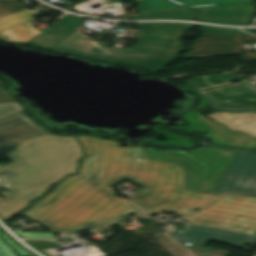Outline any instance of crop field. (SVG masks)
<instances>
[{
    "label": "crop field",
    "mask_w": 256,
    "mask_h": 256,
    "mask_svg": "<svg viewBox=\"0 0 256 256\" xmlns=\"http://www.w3.org/2000/svg\"><path fill=\"white\" fill-rule=\"evenodd\" d=\"M78 138L87 154L80 173L23 213L54 233L72 235L137 209L128 199L115 197L111 186L121 180L141 186L145 194L138 193L133 202L142 209L204 194L197 191L206 166L185 154L117 148L114 140Z\"/></svg>",
    "instance_id": "8a807250"
},
{
    "label": "crop field",
    "mask_w": 256,
    "mask_h": 256,
    "mask_svg": "<svg viewBox=\"0 0 256 256\" xmlns=\"http://www.w3.org/2000/svg\"><path fill=\"white\" fill-rule=\"evenodd\" d=\"M82 148L75 137L47 135L26 140L12 154L13 160L0 166V176L8 191L0 197V216L5 221L43 194L52 184L76 172ZM24 164H28L24 166Z\"/></svg>",
    "instance_id": "ac0d7876"
},
{
    "label": "crop field",
    "mask_w": 256,
    "mask_h": 256,
    "mask_svg": "<svg viewBox=\"0 0 256 256\" xmlns=\"http://www.w3.org/2000/svg\"><path fill=\"white\" fill-rule=\"evenodd\" d=\"M237 74H211L184 80L199 91L211 107L226 111H253V114H212L209 118L225 124L230 130H240L256 137V87L251 83H235L203 89L206 87L245 79Z\"/></svg>",
    "instance_id": "34b2d1b8"
},
{
    "label": "crop field",
    "mask_w": 256,
    "mask_h": 256,
    "mask_svg": "<svg viewBox=\"0 0 256 256\" xmlns=\"http://www.w3.org/2000/svg\"><path fill=\"white\" fill-rule=\"evenodd\" d=\"M207 207L181 220L255 235L256 198L224 195Z\"/></svg>",
    "instance_id": "412701ff"
},
{
    "label": "crop field",
    "mask_w": 256,
    "mask_h": 256,
    "mask_svg": "<svg viewBox=\"0 0 256 256\" xmlns=\"http://www.w3.org/2000/svg\"><path fill=\"white\" fill-rule=\"evenodd\" d=\"M180 52L137 44L133 49H106L105 44L99 43L87 57L105 61L135 64L147 68L152 73L160 71L172 58Z\"/></svg>",
    "instance_id": "f4fd0767"
},
{
    "label": "crop field",
    "mask_w": 256,
    "mask_h": 256,
    "mask_svg": "<svg viewBox=\"0 0 256 256\" xmlns=\"http://www.w3.org/2000/svg\"><path fill=\"white\" fill-rule=\"evenodd\" d=\"M217 192L256 196V154L240 150Z\"/></svg>",
    "instance_id": "dd49c442"
},
{
    "label": "crop field",
    "mask_w": 256,
    "mask_h": 256,
    "mask_svg": "<svg viewBox=\"0 0 256 256\" xmlns=\"http://www.w3.org/2000/svg\"><path fill=\"white\" fill-rule=\"evenodd\" d=\"M140 31L136 37L137 43L175 50L185 51L182 37L186 29L197 26L193 24L156 22L136 24Z\"/></svg>",
    "instance_id": "e52e79f7"
},
{
    "label": "crop field",
    "mask_w": 256,
    "mask_h": 256,
    "mask_svg": "<svg viewBox=\"0 0 256 256\" xmlns=\"http://www.w3.org/2000/svg\"><path fill=\"white\" fill-rule=\"evenodd\" d=\"M249 40H256V37L202 34L200 40L191 51L187 53L186 58L240 54L243 61L256 60V56L249 53V50L239 47L241 42H248ZM241 53H246L247 55H242Z\"/></svg>",
    "instance_id": "d8731c3e"
},
{
    "label": "crop field",
    "mask_w": 256,
    "mask_h": 256,
    "mask_svg": "<svg viewBox=\"0 0 256 256\" xmlns=\"http://www.w3.org/2000/svg\"><path fill=\"white\" fill-rule=\"evenodd\" d=\"M49 133L24 111L0 120V156L13 150L26 138Z\"/></svg>",
    "instance_id": "5a996713"
},
{
    "label": "crop field",
    "mask_w": 256,
    "mask_h": 256,
    "mask_svg": "<svg viewBox=\"0 0 256 256\" xmlns=\"http://www.w3.org/2000/svg\"><path fill=\"white\" fill-rule=\"evenodd\" d=\"M200 21L225 25H251L255 12V2L198 7Z\"/></svg>",
    "instance_id": "3316defc"
},
{
    "label": "crop field",
    "mask_w": 256,
    "mask_h": 256,
    "mask_svg": "<svg viewBox=\"0 0 256 256\" xmlns=\"http://www.w3.org/2000/svg\"><path fill=\"white\" fill-rule=\"evenodd\" d=\"M190 154L209 165L200 190L212 191L219 175L227 162L231 160L234 152L215 148H203Z\"/></svg>",
    "instance_id": "28ad6ade"
},
{
    "label": "crop field",
    "mask_w": 256,
    "mask_h": 256,
    "mask_svg": "<svg viewBox=\"0 0 256 256\" xmlns=\"http://www.w3.org/2000/svg\"><path fill=\"white\" fill-rule=\"evenodd\" d=\"M196 114L200 116L198 118L200 121L213 129L206 136L213 139L211 141L212 143L256 149V139L251 138L241 132H228L224 126L205 118L199 112Z\"/></svg>",
    "instance_id": "d1516ede"
},
{
    "label": "crop field",
    "mask_w": 256,
    "mask_h": 256,
    "mask_svg": "<svg viewBox=\"0 0 256 256\" xmlns=\"http://www.w3.org/2000/svg\"><path fill=\"white\" fill-rule=\"evenodd\" d=\"M218 196L219 195L217 194L206 193L203 196L193 201L145 209L144 211L147 212L149 215L168 212V213H175L177 216L182 217L186 214L194 212V209L202 208L203 206L207 205L209 202H211L213 199H215ZM170 206H172L173 208H169ZM175 207L177 208L176 210H174Z\"/></svg>",
    "instance_id": "22f410ed"
},
{
    "label": "crop field",
    "mask_w": 256,
    "mask_h": 256,
    "mask_svg": "<svg viewBox=\"0 0 256 256\" xmlns=\"http://www.w3.org/2000/svg\"><path fill=\"white\" fill-rule=\"evenodd\" d=\"M83 28H79L67 40H65L55 51L76 53L85 56L98 43L86 41V35L82 34Z\"/></svg>",
    "instance_id": "cbeb9de0"
},
{
    "label": "crop field",
    "mask_w": 256,
    "mask_h": 256,
    "mask_svg": "<svg viewBox=\"0 0 256 256\" xmlns=\"http://www.w3.org/2000/svg\"><path fill=\"white\" fill-rule=\"evenodd\" d=\"M196 14L197 12L194 9H184V10L141 13V14L124 16L122 17V19L134 18V20H148V19L195 20Z\"/></svg>",
    "instance_id": "5142ce71"
},
{
    "label": "crop field",
    "mask_w": 256,
    "mask_h": 256,
    "mask_svg": "<svg viewBox=\"0 0 256 256\" xmlns=\"http://www.w3.org/2000/svg\"><path fill=\"white\" fill-rule=\"evenodd\" d=\"M182 233L171 236L175 241H187L206 245L215 229L185 225Z\"/></svg>",
    "instance_id": "d9b57169"
},
{
    "label": "crop field",
    "mask_w": 256,
    "mask_h": 256,
    "mask_svg": "<svg viewBox=\"0 0 256 256\" xmlns=\"http://www.w3.org/2000/svg\"><path fill=\"white\" fill-rule=\"evenodd\" d=\"M211 240H215L218 242H222L225 244L237 246L243 248L246 244L253 245L252 250H255L256 248V237L240 234V233H234L224 230L216 229L213 236L211 237Z\"/></svg>",
    "instance_id": "733c2abd"
},
{
    "label": "crop field",
    "mask_w": 256,
    "mask_h": 256,
    "mask_svg": "<svg viewBox=\"0 0 256 256\" xmlns=\"http://www.w3.org/2000/svg\"><path fill=\"white\" fill-rule=\"evenodd\" d=\"M39 33L41 32L34 30L32 24L27 21L15 27L0 31V36H7L8 38L6 40L24 43Z\"/></svg>",
    "instance_id": "4a817a6b"
},
{
    "label": "crop field",
    "mask_w": 256,
    "mask_h": 256,
    "mask_svg": "<svg viewBox=\"0 0 256 256\" xmlns=\"http://www.w3.org/2000/svg\"><path fill=\"white\" fill-rule=\"evenodd\" d=\"M37 12L23 10L0 19V30L12 27L27 20L34 19Z\"/></svg>",
    "instance_id": "bc2a9ffb"
},
{
    "label": "crop field",
    "mask_w": 256,
    "mask_h": 256,
    "mask_svg": "<svg viewBox=\"0 0 256 256\" xmlns=\"http://www.w3.org/2000/svg\"><path fill=\"white\" fill-rule=\"evenodd\" d=\"M172 8H182V6L172 4L166 0H139L138 1V12L172 9Z\"/></svg>",
    "instance_id": "214f88e0"
},
{
    "label": "crop field",
    "mask_w": 256,
    "mask_h": 256,
    "mask_svg": "<svg viewBox=\"0 0 256 256\" xmlns=\"http://www.w3.org/2000/svg\"><path fill=\"white\" fill-rule=\"evenodd\" d=\"M170 1L180 5L188 6V7H198V6L249 2V1H255V0H170Z\"/></svg>",
    "instance_id": "92a150f3"
},
{
    "label": "crop field",
    "mask_w": 256,
    "mask_h": 256,
    "mask_svg": "<svg viewBox=\"0 0 256 256\" xmlns=\"http://www.w3.org/2000/svg\"><path fill=\"white\" fill-rule=\"evenodd\" d=\"M13 1L15 0H0V18L25 9Z\"/></svg>",
    "instance_id": "dafd665d"
},
{
    "label": "crop field",
    "mask_w": 256,
    "mask_h": 256,
    "mask_svg": "<svg viewBox=\"0 0 256 256\" xmlns=\"http://www.w3.org/2000/svg\"><path fill=\"white\" fill-rule=\"evenodd\" d=\"M200 30L202 33H224V34H238V35H248L234 28H221L207 25H200Z\"/></svg>",
    "instance_id": "00972430"
},
{
    "label": "crop field",
    "mask_w": 256,
    "mask_h": 256,
    "mask_svg": "<svg viewBox=\"0 0 256 256\" xmlns=\"http://www.w3.org/2000/svg\"><path fill=\"white\" fill-rule=\"evenodd\" d=\"M22 110L23 108L17 102L2 103L0 104V119Z\"/></svg>",
    "instance_id": "a9b5d70f"
},
{
    "label": "crop field",
    "mask_w": 256,
    "mask_h": 256,
    "mask_svg": "<svg viewBox=\"0 0 256 256\" xmlns=\"http://www.w3.org/2000/svg\"><path fill=\"white\" fill-rule=\"evenodd\" d=\"M1 237L5 240V242L12 246L13 249L15 250V252L19 255V256H34L32 254H30L29 252H27L25 249H23L21 246H19L18 244L14 243L7 235H5L3 232L1 234Z\"/></svg>",
    "instance_id": "4177f3b9"
},
{
    "label": "crop field",
    "mask_w": 256,
    "mask_h": 256,
    "mask_svg": "<svg viewBox=\"0 0 256 256\" xmlns=\"http://www.w3.org/2000/svg\"><path fill=\"white\" fill-rule=\"evenodd\" d=\"M22 237L27 238H56L52 233H23L21 229H14ZM18 234V235H19Z\"/></svg>",
    "instance_id": "730fd06b"
},
{
    "label": "crop field",
    "mask_w": 256,
    "mask_h": 256,
    "mask_svg": "<svg viewBox=\"0 0 256 256\" xmlns=\"http://www.w3.org/2000/svg\"><path fill=\"white\" fill-rule=\"evenodd\" d=\"M0 256H17L11 247L6 245L1 239H0Z\"/></svg>",
    "instance_id": "eef30255"
},
{
    "label": "crop field",
    "mask_w": 256,
    "mask_h": 256,
    "mask_svg": "<svg viewBox=\"0 0 256 256\" xmlns=\"http://www.w3.org/2000/svg\"><path fill=\"white\" fill-rule=\"evenodd\" d=\"M132 213H134V214L137 215V216H146V214H145L144 212H142L140 209H137V210L132 211V212H130V213H128V214H125V215H123V216H120V217H118V218H115V219H113V220H110V221H108V222H106V223H103V224H101V225H99V226H102V225H104V224H107V223H110V222H112V221L118 220V219H120V218L126 217V216H128V215H130V214H132ZM99 226H96V227L91 228V229H95V228H97V227H99Z\"/></svg>",
    "instance_id": "ae1a2a85"
},
{
    "label": "crop field",
    "mask_w": 256,
    "mask_h": 256,
    "mask_svg": "<svg viewBox=\"0 0 256 256\" xmlns=\"http://www.w3.org/2000/svg\"><path fill=\"white\" fill-rule=\"evenodd\" d=\"M15 101L13 98H11L6 91L3 89L2 86H0V103L2 102H12Z\"/></svg>",
    "instance_id": "d3111659"
},
{
    "label": "crop field",
    "mask_w": 256,
    "mask_h": 256,
    "mask_svg": "<svg viewBox=\"0 0 256 256\" xmlns=\"http://www.w3.org/2000/svg\"><path fill=\"white\" fill-rule=\"evenodd\" d=\"M28 242H30L35 247H62L58 244L48 242V241H28ZM41 243H50V245H41Z\"/></svg>",
    "instance_id": "750c4746"
},
{
    "label": "crop field",
    "mask_w": 256,
    "mask_h": 256,
    "mask_svg": "<svg viewBox=\"0 0 256 256\" xmlns=\"http://www.w3.org/2000/svg\"><path fill=\"white\" fill-rule=\"evenodd\" d=\"M114 1H116V2H119V1L125 2V1H127V0H114Z\"/></svg>",
    "instance_id": "bd1437ed"
}]
</instances>
